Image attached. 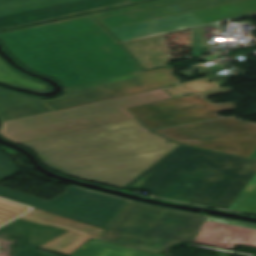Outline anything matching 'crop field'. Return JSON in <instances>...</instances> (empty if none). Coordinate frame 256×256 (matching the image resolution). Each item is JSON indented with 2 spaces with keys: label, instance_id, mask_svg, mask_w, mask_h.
<instances>
[{
  "label": "crop field",
  "instance_id": "8a807250",
  "mask_svg": "<svg viewBox=\"0 0 256 256\" xmlns=\"http://www.w3.org/2000/svg\"><path fill=\"white\" fill-rule=\"evenodd\" d=\"M234 1L238 0H156L0 33V39L23 65L67 88L142 71L95 19L150 69L169 60L166 31L203 24L190 11Z\"/></svg>",
  "mask_w": 256,
  "mask_h": 256
},
{
  "label": "crop field",
  "instance_id": "ac0d7876",
  "mask_svg": "<svg viewBox=\"0 0 256 256\" xmlns=\"http://www.w3.org/2000/svg\"><path fill=\"white\" fill-rule=\"evenodd\" d=\"M20 144L56 171L119 188L179 146L135 118Z\"/></svg>",
  "mask_w": 256,
  "mask_h": 256
},
{
  "label": "crop field",
  "instance_id": "34b2d1b8",
  "mask_svg": "<svg viewBox=\"0 0 256 256\" xmlns=\"http://www.w3.org/2000/svg\"><path fill=\"white\" fill-rule=\"evenodd\" d=\"M256 173V161L180 145L124 189L227 209Z\"/></svg>",
  "mask_w": 256,
  "mask_h": 256
},
{
  "label": "crop field",
  "instance_id": "412701ff",
  "mask_svg": "<svg viewBox=\"0 0 256 256\" xmlns=\"http://www.w3.org/2000/svg\"><path fill=\"white\" fill-rule=\"evenodd\" d=\"M207 216L128 201L100 240L159 252L180 242H193Z\"/></svg>",
  "mask_w": 256,
  "mask_h": 256
},
{
  "label": "crop field",
  "instance_id": "f4fd0767",
  "mask_svg": "<svg viewBox=\"0 0 256 256\" xmlns=\"http://www.w3.org/2000/svg\"><path fill=\"white\" fill-rule=\"evenodd\" d=\"M171 70L161 68L92 82L66 89L64 96L54 100H36L0 89L2 122L47 113L53 110L122 96L180 82Z\"/></svg>",
  "mask_w": 256,
  "mask_h": 256
},
{
  "label": "crop field",
  "instance_id": "dd49c442",
  "mask_svg": "<svg viewBox=\"0 0 256 256\" xmlns=\"http://www.w3.org/2000/svg\"><path fill=\"white\" fill-rule=\"evenodd\" d=\"M206 78L184 82L183 84L164 88L174 97L200 92L227 85L226 80L208 83ZM162 89L142 92L138 94L119 97L91 105L75 107L63 111L50 112L43 115L27 117L4 122L0 134H8L50 124L60 123L68 120L82 118L90 115L104 113L121 108H128L140 104L170 98Z\"/></svg>",
  "mask_w": 256,
  "mask_h": 256
},
{
  "label": "crop field",
  "instance_id": "e52e79f7",
  "mask_svg": "<svg viewBox=\"0 0 256 256\" xmlns=\"http://www.w3.org/2000/svg\"><path fill=\"white\" fill-rule=\"evenodd\" d=\"M154 132L181 144L246 158L256 149V124L235 119L203 122Z\"/></svg>",
  "mask_w": 256,
  "mask_h": 256
},
{
  "label": "crop field",
  "instance_id": "d8731c3e",
  "mask_svg": "<svg viewBox=\"0 0 256 256\" xmlns=\"http://www.w3.org/2000/svg\"><path fill=\"white\" fill-rule=\"evenodd\" d=\"M0 196L104 229L127 201L72 185L49 202L3 187H0Z\"/></svg>",
  "mask_w": 256,
  "mask_h": 256
},
{
  "label": "crop field",
  "instance_id": "5a996713",
  "mask_svg": "<svg viewBox=\"0 0 256 256\" xmlns=\"http://www.w3.org/2000/svg\"><path fill=\"white\" fill-rule=\"evenodd\" d=\"M229 91L232 90L217 88L128 110L149 129L220 118L216 113L235 110L234 102L213 104L204 97Z\"/></svg>",
  "mask_w": 256,
  "mask_h": 256
},
{
  "label": "crop field",
  "instance_id": "3316defc",
  "mask_svg": "<svg viewBox=\"0 0 256 256\" xmlns=\"http://www.w3.org/2000/svg\"><path fill=\"white\" fill-rule=\"evenodd\" d=\"M140 0H0V29Z\"/></svg>",
  "mask_w": 256,
  "mask_h": 256
},
{
  "label": "crop field",
  "instance_id": "28ad6ade",
  "mask_svg": "<svg viewBox=\"0 0 256 256\" xmlns=\"http://www.w3.org/2000/svg\"><path fill=\"white\" fill-rule=\"evenodd\" d=\"M194 242L229 249L235 243L256 247V224L208 216Z\"/></svg>",
  "mask_w": 256,
  "mask_h": 256
},
{
  "label": "crop field",
  "instance_id": "d1516ede",
  "mask_svg": "<svg viewBox=\"0 0 256 256\" xmlns=\"http://www.w3.org/2000/svg\"><path fill=\"white\" fill-rule=\"evenodd\" d=\"M133 116L125 109L99 114L91 117L77 119L69 122L27 130L23 132L4 135V137L16 142H24L36 138L71 132L75 130L90 128L118 120L132 118Z\"/></svg>",
  "mask_w": 256,
  "mask_h": 256
},
{
  "label": "crop field",
  "instance_id": "22f410ed",
  "mask_svg": "<svg viewBox=\"0 0 256 256\" xmlns=\"http://www.w3.org/2000/svg\"><path fill=\"white\" fill-rule=\"evenodd\" d=\"M0 232L21 237L19 244L36 249L67 231L18 219L0 228Z\"/></svg>",
  "mask_w": 256,
  "mask_h": 256
},
{
  "label": "crop field",
  "instance_id": "cbeb9de0",
  "mask_svg": "<svg viewBox=\"0 0 256 256\" xmlns=\"http://www.w3.org/2000/svg\"><path fill=\"white\" fill-rule=\"evenodd\" d=\"M71 256H163L103 243L90 239Z\"/></svg>",
  "mask_w": 256,
  "mask_h": 256
},
{
  "label": "crop field",
  "instance_id": "5142ce71",
  "mask_svg": "<svg viewBox=\"0 0 256 256\" xmlns=\"http://www.w3.org/2000/svg\"><path fill=\"white\" fill-rule=\"evenodd\" d=\"M228 209L256 214V174Z\"/></svg>",
  "mask_w": 256,
  "mask_h": 256
},
{
  "label": "crop field",
  "instance_id": "d9b57169",
  "mask_svg": "<svg viewBox=\"0 0 256 256\" xmlns=\"http://www.w3.org/2000/svg\"><path fill=\"white\" fill-rule=\"evenodd\" d=\"M89 238L79 236L73 233H66L46 244L42 247L43 249H49L57 251L63 254L70 255L77 248H79L83 243H85Z\"/></svg>",
  "mask_w": 256,
  "mask_h": 256
},
{
  "label": "crop field",
  "instance_id": "733c2abd",
  "mask_svg": "<svg viewBox=\"0 0 256 256\" xmlns=\"http://www.w3.org/2000/svg\"><path fill=\"white\" fill-rule=\"evenodd\" d=\"M26 216H30V217H34V218H38V219H42V220H46V221H50V222H54V223H58V224H62L74 229H78L84 232H88L94 235H98L100 236V234L103 232V229H99L93 226H89L83 223H79L76 221H72L66 218H62L41 210H34L31 213L27 214Z\"/></svg>",
  "mask_w": 256,
  "mask_h": 256
},
{
  "label": "crop field",
  "instance_id": "4a817a6b",
  "mask_svg": "<svg viewBox=\"0 0 256 256\" xmlns=\"http://www.w3.org/2000/svg\"><path fill=\"white\" fill-rule=\"evenodd\" d=\"M27 210L28 208L21 205L0 200V224L12 219L13 217Z\"/></svg>",
  "mask_w": 256,
  "mask_h": 256
},
{
  "label": "crop field",
  "instance_id": "bc2a9ffb",
  "mask_svg": "<svg viewBox=\"0 0 256 256\" xmlns=\"http://www.w3.org/2000/svg\"><path fill=\"white\" fill-rule=\"evenodd\" d=\"M0 75L11 79L17 83H20L26 87H48L42 83L33 81L31 79L25 78L14 71H12L8 66H6L1 60H0Z\"/></svg>",
  "mask_w": 256,
  "mask_h": 256
},
{
  "label": "crop field",
  "instance_id": "214f88e0",
  "mask_svg": "<svg viewBox=\"0 0 256 256\" xmlns=\"http://www.w3.org/2000/svg\"><path fill=\"white\" fill-rule=\"evenodd\" d=\"M19 172L13 159L7 154L0 152V181Z\"/></svg>",
  "mask_w": 256,
  "mask_h": 256
},
{
  "label": "crop field",
  "instance_id": "92a150f3",
  "mask_svg": "<svg viewBox=\"0 0 256 256\" xmlns=\"http://www.w3.org/2000/svg\"><path fill=\"white\" fill-rule=\"evenodd\" d=\"M208 26H212L215 28L218 25L216 23V24H212V25H208ZM203 27H206V26L192 29L191 48H192L194 56L202 55V48H210V47L202 46L201 38H202V34H203V30H202Z\"/></svg>",
  "mask_w": 256,
  "mask_h": 256
},
{
  "label": "crop field",
  "instance_id": "dafd665d",
  "mask_svg": "<svg viewBox=\"0 0 256 256\" xmlns=\"http://www.w3.org/2000/svg\"><path fill=\"white\" fill-rule=\"evenodd\" d=\"M15 250L16 251L13 254V256H53V255L46 254L41 251L34 250L19 244H17Z\"/></svg>",
  "mask_w": 256,
  "mask_h": 256
},
{
  "label": "crop field",
  "instance_id": "00972430",
  "mask_svg": "<svg viewBox=\"0 0 256 256\" xmlns=\"http://www.w3.org/2000/svg\"><path fill=\"white\" fill-rule=\"evenodd\" d=\"M20 219H24V220H28V221H32V222H36V223H40V224H44V225H50V226H54V227H57V228H60V229H64V230H67V231H70V232H73V233H76V234H80V235H83V236H86V237H92V238H95L97 239V237H93V236H90V235H87V234H83V233H80V232H77V231H73V230H70V229H66V228H63V227H60V226H56V225H53V224H50V223H46V222H42V221H38V220H34V219H30V218H26V217H20Z\"/></svg>",
  "mask_w": 256,
  "mask_h": 256
},
{
  "label": "crop field",
  "instance_id": "a9b5d70f",
  "mask_svg": "<svg viewBox=\"0 0 256 256\" xmlns=\"http://www.w3.org/2000/svg\"><path fill=\"white\" fill-rule=\"evenodd\" d=\"M0 80H1V81H5V82H8V83L15 84V85L22 86V85L17 84V83H15V82L11 81V80H8V79H6V78H4V77H2V76H0ZM22 87H24V86H22ZM29 89H32V90H35V91H49L50 88H29Z\"/></svg>",
  "mask_w": 256,
  "mask_h": 256
},
{
  "label": "crop field",
  "instance_id": "4177f3b9",
  "mask_svg": "<svg viewBox=\"0 0 256 256\" xmlns=\"http://www.w3.org/2000/svg\"><path fill=\"white\" fill-rule=\"evenodd\" d=\"M220 57H222V55L218 54V55L204 57L203 59H204V61H208V60L217 59V58H220Z\"/></svg>",
  "mask_w": 256,
  "mask_h": 256
},
{
  "label": "crop field",
  "instance_id": "730fd06b",
  "mask_svg": "<svg viewBox=\"0 0 256 256\" xmlns=\"http://www.w3.org/2000/svg\"><path fill=\"white\" fill-rule=\"evenodd\" d=\"M249 158L256 160V150L253 152V154Z\"/></svg>",
  "mask_w": 256,
  "mask_h": 256
}]
</instances>
